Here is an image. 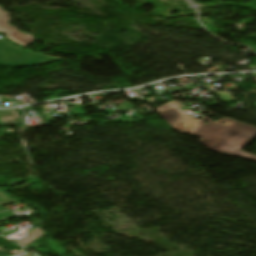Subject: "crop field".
I'll return each mask as SVG.
<instances>
[{
  "mask_svg": "<svg viewBox=\"0 0 256 256\" xmlns=\"http://www.w3.org/2000/svg\"><path fill=\"white\" fill-rule=\"evenodd\" d=\"M45 233L43 232V230L40 227L35 228L34 230H32V232L26 234L27 238L22 239L20 241H18L21 245L25 246L29 243H32L34 241V239H37L41 236H43Z\"/></svg>",
  "mask_w": 256,
  "mask_h": 256,
  "instance_id": "4",
  "label": "crop field"
},
{
  "mask_svg": "<svg viewBox=\"0 0 256 256\" xmlns=\"http://www.w3.org/2000/svg\"><path fill=\"white\" fill-rule=\"evenodd\" d=\"M181 107L183 106L172 101L155 110L172 128L181 132H190L202 138L200 141L211 150L256 162V156L238 151L256 137V128L225 118L218 122H213L206 117L197 121L179 110ZM204 120L209 124H205ZM221 122L225 124L221 125Z\"/></svg>",
  "mask_w": 256,
  "mask_h": 256,
  "instance_id": "1",
  "label": "crop field"
},
{
  "mask_svg": "<svg viewBox=\"0 0 256 256\" xmlns=\"http://www.w3.org/2000/svg\"><path fill=\"white\" fill-rule=\"evenodd\" d=\"M6 210L3 206H0V211Z\"/></svg>",
  "mask_w": 256,
  "mask_h": 256,
  "instance_id": "7",
  "label": "crop field"
},
{
  "mask_svg": "<svg viewBox=\"0 0 256 256\" xmlns=\"http://www.w3.org/2000/svg\"><path fill=\"white\" fill-rule=\"evenodd\" d=\"M15 217L16 216L14 214L10 213V212L0 213V222H3L8 218H15Z\"/></svg>",
  "mask_w": 256,
  "mask_h": 256,
  "instance_id": "6",
  "label": "crop field"
},
{
  "mask_svg": "<svg viewBox=\"0 0 256 256\" xmlns=\"http://www.w3.org/2000/svg\"><path fill=\"white\" fill-rule=\"evenodd\" d=\"M15 202H18V201L12 199L7 194L0 192V205H5V204H10V203H15Z\"/></svg>",
  "mask_w": 256,
  "mask_h": 256,
  "instance_id": "5",
  "label": "crop field"
},
{
  "mask_svg": "<svg viewBox=\"0 0 256 256\" xmlns=\"http://www.w3.org/2000/svg\"><path fill=\"white\" fill-rule=\"evenodd\" d=\"M59 60L57 57L44 56L12 46L7 40L0 39V65L23 67L33 64Z\"/></svg>",
  "mask_w": 256,
  "mask_h": 256,
  "instance_id": "2",
  "label": "crop field"
},
{
  "mask_svg": "<svg viewBox=\"0 0 256 256\" xmlns=\"http://www.w3.org/2000/svg\"><path fill=\"white\" fill-rule=\"evenodd\" d=\"M9 21L8 13L0 10V32H5L10 40L21 46H26L34 41L33 35L17 31L16 28L8 24Z\"/></svg>",
  "mask_w": 256,
  "mask_h": 256,
  "instance_id": "3",
  "label": "crop field"
}]
</instances>
